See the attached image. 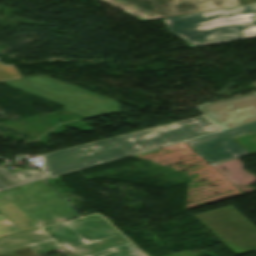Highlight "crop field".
Returning a JSON list of instances; mask_svg holds the SVG:
<instances>
[{"mask_svg": "<svg viewBox=\"0 0 256 256\" xmlns=\"http://www.w3.org/2000/svg\"><path fill=\"white\" fill-rule=\"evenodd\" d=\"M190 48L256 37V4L164 18Z\"/></svg>", "mask_w": 256, "mask_h": 256, "instance_id": "crop-field-3", "label": "crop field"}, {"mask_svg": "<svg viewBox=\"0 0 256 256\" xmlns=\"http://www.w3.org/2000/svg\"><path fill=\"white\" fill-rule=\"evenodd\" d=\"M216 131L202 115L44 154L43 170L54 176Z\"/></svg>", "mask_w": 256, "mask_h": 256, "instance_id": "crop-field-1", "label": "crop field"}, {"mask_svg": "<svg viewBox=\"0 0 256 256\" xmlns=\"http://www.w3.org/2000/svg\"><path fill=\"white\" fill-rule=\"evenodd\" d=\"M49 178L40 171L26 170L11 174L0 165V190L30 183L33 181Z\"/></svg>", "mask_w": 256, "mask_h": 256, "instance_id": "crop-field-7", "label": "crop field"}, {"mask_svg": "<svg viewBox=\"0 0 256 256\" xmlns=\"http://www.w3.org/2000/svg\"><path fill=\"white\" fill-rule=\"evenodd\" d=\"M126 11L144 22L212 10L256 3V0H103Z\"/></svg>", "mask_w": 256, "mask_h": 256, "instance_id": "crop-field-5", "label": "crop field"}, {"mask_svg": "<svg viewBox=\"0 0 256 256\" xmlns=\"http://www.w3.org/2000/svg\"><path fill=\"white\" fill-rule=\"evenodd\" d=\"M13 253L17 256H40L36 251H34L31 247L24 248L21 250L13 251Z\"/></svg>", "mask_w": 256, "mask_h": 256, "instance_id": "crop-field-9", "label": "crop field"}, {"mask_svg": "<svg viewBox=\"0 0 256 256\" xmlns=\"http://www.w3.org/2000/svg\"><path fill=\"white\" fill-rule=\"evenodd\" d=\"M254 85H255V87H256V83H253Z\"/></svg>", "mask_w": 256, "mask_h": 256, "instance_id": "crop-field-11", "label": "crop field"}, {"mask_svg": "<svg viewBox=\"0 0 256 256\" xmlns=\"http://www.w3.org/2000/svg\"><path fill=\"white\" fill-rule=\"evenodd\" d=\"M19 78H21V76L18 74L13 65H2L0 63V81Z\"/></svg>", "mask_w": 256, "mask_h": 256, "instance_id": "crop-field-8", "label": "crop field"}, {"mask_svg": "<svg viewBox=\"0 0 256 256\" xmlns=\"http://www.w3.org/2000/svg\"><path fill=\"white\" fill-rule=\"evenodd\" d=\"M222 132L185 141L210 165L249 155L231 137L256 131V93L199 107Z\"/></svg>", "mask_w": 256, "mask_h": 256, "instance_id": "crop-field-2", "label": "crop field"}, {"mask_svg": "<svg viewBox=\"0 0 256 256\" xmlns=\"http://www.w3.org/2000/svg\"><path fill=\"white\" fill-rule=\"evenodd\" d=\"M2 83L59 103L65 106V110L82 117H89L119 110V105L116 101L54 80L44 75L4 81Z\"/></svg>", "mask_w": 256, "mask_h": 256, "instance_id": "crop-field-4", "label": "crop field"}, {"mask_svg": "<svg viewBox=\"0 0 256 256\" xmlns=\"http://www.w3.org/2000/svg\"><path fill=\"white\" fill-rule=\"evenodd\" d=\"M194 217L236 254L256 250V229L233 206Z\"/></svg>", "mask_w": 256, "mask_h": 256, "instance_id": "crop-field-6", "label": "crop field"}, {"mask_svg": "<svg viewBox=\"0 0 256 256\" xmlns=\"http://www.w3.org/2000/svg\"><path fill=\"white\" fill-rule=\"evenodd\" d=\"M0 256H15V255L12 252H10V253H6V254H2Z\"/></svg>", "mask_w": 256, "mask_h": 256, "instance_id": "crop-field-10", "label": "crop field"}]
</instances>
